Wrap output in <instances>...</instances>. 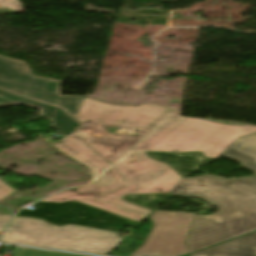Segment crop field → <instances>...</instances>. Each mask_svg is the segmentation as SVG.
Listing matches in <instances>:
<instances>
[{
    "label": "crop field",
    "mask_w": 256,
    "mask_h": 256,
    "mask_svg": "<svg viewBox=\"0 0 256 256\" xmlns=\"http://www.w3.org/2000/svg\"><path fill=\"white\" fill-rule=\"evenodd\" d=\"M176 110L157 105L114 106L84 98L75 119L84 125L107 124L153 129L133 152H195L215 160L239 137L256 133V125L226 126L201 119L170 116Z\"/></svg>",
    "instance_id": "obj_1"
},
{
    "label": "crop field",
    "mask_w": 256,
    "mask_h": 256,
    "mask_svg": "<svg viewBox=\"0 0 256 256\" xmlns=\"http://www.w3.org/2000/svg\"><path fill=\"white\" fill-rule=\"evenodd\" d=\"M170 194L200 197L219 208L194 217L186 239L189 253L256 231V177L181 179Z\"/></svg>",
    "instance_id": "obj_2"
},
{
    "label": "crop field",
    "mask_w": 256,
    "mask_h": 256,
    "mask_svg": "<svg viewBox=\"0 0 256 256\" xmlns=\"http://www.w3.org/2000/svg\"><path fill=\"white\" fill-rule=\"evenodd\" d=\"M9 237L2 242L28 246L67 249L95 254H108L122 238L117 233L88 227H56L43 220L15 217L7 229Z\"/></svg>",
    "instance_id": "obj_3"
},
{
    "label": "crop field",
    "mask_w": 256,
    "mask_h": 256,
    "mask_svg": "<svg viewBox=\"0 0 256 256\" xmlns=\"http://www.w3.org/2000/svg\"><path fill=\"white\" fill-rule=\"evenodd\" d=\"M59 81L31 74L26 63L0 56V88L12 91L52 106L0 90V106L25 105L41 110L40 115L52 119L60 95Z\"/></svg>",
    "instance_id": "obj_4"
},
{
    "label": "crop field",
    "mask_w": 256,
    "mask_h": 256,
    "mask_svg": "<svg viewBox=\"0 0 256 256\" xmlns=\"http://www.w3.org/2000/svg\"><path fill=\"white\" fill-rule=\"evenodd\" d=\"M135 154L137 153L127 152L113 164L114 167L124 174L129 186L104 197L103 200L148 215L152 212L125 202L121 200V197L127 194L169 193L177 185L181 177L170 166L153 159L128 164L127 161Z\"/></svg>",
    "instance_id": "obj_5"
},
{
    "label": "crop field",
    "mask_w": 256,
    "mask_h": 256,
    "mask_svg": "<svg viewBox=\"0 0 256 256\" xmlns=\"http://www.w3.org/2000/svg\"><path fill=\"white\" fill-rule=\"evenodd\" d=\"M195 214L157 211L144 244L130 256H179L187 254L185 239Z\"/></svg>",
    "instance_id": "obj_6"
},
{
    "label": "crop field",
    "mask_w": 256,
    "mask_h": 256,
    "mask_svg": "<svg viewBox=\"0 0 256 256\" xmlns=\"http://www.w3.org/2000/svg\"><path fill=\"white\" fill-rule=\"evenodd\" d=\"M108 178L114 179L115 184L110 186H103L102 184L105 183L106 179ZM124 186H126V183L123 179V176L111 166L92 185L69 189L42 201L64 202L75 200L80 203L139 222L146 216L141 213L120 206H116L101 200L102 196Z\"/></svg>",
    "instance_id": "obj_7"
},
{
    "label": "crop field",
    "mask_w": 256,
    "mask_h": 256,
    "mask_svg": "<svg viewBox=\"0 0 256 256\" xmlns=\"http://www.w3.org/2000/svg\"><path fill=\"white\" fill-rule=\"evenodd\" d=\"M53 147L65 153L70 158L85 164L90 169L92 180L110 165L75 136L62 141Z\"/></svg>",
    "instance_id": "obj_8"
},
{
    "label": "crop field",
    "mask_w": 256,
    "mask_h": 256,
    "mask_svg": "<svg viewBox=\"0 0 256 256\" xmlns=\"http://www.w3.org/2000/svg\"><path fill=\"white\" fill-rule=\"evenodd\" d=\"M75 134L83 139L89 146H91L111 164L143 138L129 135H126L122 139L99 138L92 137L79 129Z\"/></svg>",
    "instance_id": "obj_9"
},
{
    "label": "crop field",
    "mask_w": 256,
    "mask_h": 256,
    "mask_svg": "<svg viewBox=\"0 0 256 256\" xmlns=\"http://www.w3.org/2000/svg\"><path fill=\"white\" fill-rule=\"evenodd\" d=\"M189 256H256V233L190 254Z\"/></svg>",
    "instance_id": "obj_10"
},
{
    "label": "crop field",
    "mask_w": 256,
    "mask_h": 256,
    "mask_svg": "<svg viewBox=\"0 0 256 256\" xmlns=\"http://www.w3.org/2000/svg\"><path fill=\"white\" fill-rule=\"evenodd\" d=\"M222 156L241 162V166L252 169L256 175V134L239 138Z\"/></svg>",
    "instance_id": "obj_11"
},
{
    "label": "crop field",
    "mask_w": 256,
    "mask_h": 256,
    "mask_svg": "<svg viewBox=\"0 0 256 256\" xmlns=\"http://www.w3.org/2000/svg\"><path fill=\"white\" fill-rule=\"evenodd\" d=\"M52 121L51 126L64 137L71 135L81 125L58 107Z\"/></svg>",
    "instance_id": "obj_12"
},
{
    "label": "crop field",
    "mask_w": 256,
    "mask_h": 256,
    "mask_svg": "<svg viewBox=\"0 0 256 256\" xmlns=\"http://www.w3.org/2000/svg\"><path fill=\"white\" fill-rule=\"evenodd\" d=\"M82 102V98L79 96H60L57 106H60L74 118Z\"/></svg>",
    "instance_id": "obj_13"
},
{
    "label": "crop field",
    "mask_w": 256,
    "mask_h": 256,
    "mask_svg": "<svg viewBox=\"0 0 256 256\" xmlns=\"http://www.w3.org/2000/svg\"><path fill=\"white\" fill-rule=\"evenodd\" d=\"M13 256H82V255L16 248Z\"/></svg>",
    "instance_id": "obj_14"
},
{
    "label": "crop field",
    "mask_w": 256,
    "mask_h": 256,
    "mask_svg": "<svg viewBox=\"0 0 256 256\" xmlns=\"http://www.w3.org/2000/svg\"><path fill=\"white\" fill-rule=\"evenodd\" d=\"M99 126L101 125H91V126H82L79 129L93 135V136H99V137H109V138H122L124 136H120V137H114L111 136L107 133H105L104 131L99 129ZM107 126V125H106Z\"/></svg>",
    "instance_id": "obj_15"
},
{
    "label": "crop field",
    "mask_w": 256,
    "mask_h": 256,
    "mask_svg": "<svg viewBox=\"0 0 256 256\" xmlns=\"http://www.w3.org/2000/svg\"><path fill=\"white\" fill-rule=\"evenodd\" d=\"M15 190L0 180V200L13 194Z\"/></svg>",
    "instance_id": "obj_16"
},
{
    "label": "crop field",
    "mask_w": 256,
    "mask_h": 256,
    "mask_svg": "<svg viewBox=\"0 0 256 256\" xmlns=\"http://www.w3.org/2000/svg\"><path fill=\"white\" fill-rule=\"evenodd\" d=\"M14 0H0V6L3 7H8L17 11H22V8L20 6H16L14 4L8 3V2H12Z\"/></svg>",
    "instance_id": "obj_17"
},
{
    "label": "crop field",
    "mask_w": 256,
    "mask_h": 256,
    "mask_svg": "<svg viewBox=\"0 0 256 256\" xmlns=\"http://www.w3.org/2000/svg\"><path fill=\"white\" fill-rule=\"evenodd\" d=\"M11 218L12 216H9V215H4V216L0 215V232L4 230V228L6 227L7 223L11 220Z\"/></svg>",
    "instance_id": "obj_18"
},
{
    "label": "crop field",
    "mask_w": 256,
    "mask_h": 256,
    "mask_svg": "<svg viewBox=\"0 0 256 256\" xmlns=\"http://www.w3.org/2000/svg\"><path fill=\"white\" fill-rule=\"evenodd\" d=\"M144 155H145V153H138L130 161H128V163L139 161V160H144V159H149V158L144 157Z\"/></svg>",
    "instance_id": "obj_19"
},
{
    "label": "crop field",
    "mask_w": 256,
    "mask_h": 256,
    "mask_svg": "<svg viewBox=\"0 0 256 256\" xmlns=\"http://www.w3.org/2000/svg\"><path fill=\"white\" fill-rule=\"evenodd\" d=\"M144 130V132L142 134H140L139 136H145L148 132H150L151 130L148 129H142Z\"/></svg>",
    "instance_id": "obj_20"
},
{
    "label": "crop field",
    "mask_w": 256,
    "mask_h": 256,
    "mask_svg": "<svg viewBox=\"0 0 256 256\" xmlns=\"http://www.w3.org/2000/svg\"><path fill=\"white\" fill-rule=\"evenodd\" d=\"M110 184H114V181H113V180L108 179V180H107V183H105V184H103V185H110Z\"/></svg>",
    "instance_id": "obj_21"
},
{
    "label": "crop field",
    "mask_w": 256,
    "mask_h": 256,
    "mask_svg": "<svg viewBox=\"0 0 256 256\" xmlns=\"http://www.w3.org/2000/svg\"><path fill=\"white\" fill-rule=\"evenodd\" d=\"M110 166H111V165H110ZM110 166H109V167H110ZM109 167H108V168H109ZM108 168H107V169H108ZM107 169H106V170H107ZM104 171H105V170H104ZM104 171H103V172H104ZM103 172H102V173H103ZM102 173H101V174H102ZM101 174H100V175H101ZM100 175H99V176H100ZM99 176H98V177H99ZM98 177H97V178H98ZM97 178H95L92 182H94Z\"/></svg>",
    "instance_id": "obj_22"
},
{
    "label": "crop field",
    "mask_w": 256,
    "mask_h": 256,
    "mask_svg": "<svg viewBox=\"0 0 256 256\" xmlns=\"http://www.w3.org/2000/svg\"><path fill=\"white\" fill-rule=\"evenodd\" d=\"M178 114H179V111L177 110L174 114H172V115H177L178 116Z\"/></svg>",
    "instance_id": "obj_23"
},
{
    "label": "crop field",
    "mask_w": 256,
    "mask_h": 256,
    "mask_svg": "<svg viewBox=\"0 0 256 256\" xmlns=\"http://www.w3.org/2000/svg\"><path fill=\"white\" fill-rule=\"evenodd\" d=\"M84 142V141H83ZM91 148V147H90ZM92 149V148H91ZM93 150V149H92ZM94 151V150H93ZM97 153V152H96ZM98 154V153H97ZM99 155V154H98ZM100 156V155H99ZM103 158V157H102ZM104 159V158H103ZM105 160V159H104ZM109 163V162H108ZM116 169V168H115ZM121 173V172H120ZM122 174V173H121ZM123 175V174H122ZM127 187V186H126Z\"/></svg>",
    "instance_id": "obj_24"
},
{
    "label": "crop field",
    "mask_w": 256,
    "mask_h": 256,
    "mask_svg": "<svg viewBox=\"0 0 256 256\" xmlns=\"http://www.w3.org/2000/svg\"><path fill=\"white\" fill-rule=\"evenodd\" d=\"M9 233H10V232H7V231H6L4 235L8 236V235H9Z\"/></svg>",
    "instance_id": "obj_25"
},
{
    "label": "crop field",
    "mask_w": 256,
    "mask_h": 256,
    "mask_svg": "<svg viewBox=\"0 0 256 256\" xmlns=\"http://www.w3.org/2000/svg\"><path fill=\"white\" fill-rule=\"evenodd\" d=\"M72 136V135H71ZM70 137V136H69ZM68 138V137H67ZM66 139V138H65ZM64 140V139H63ZM62 141V140H61ZM60 142V141H59Z\"/></svg>",
    "instance_id": "obj_26"
}]
</instances>
